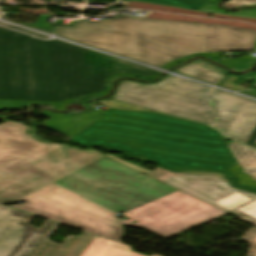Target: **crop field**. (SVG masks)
<instances>
[{
  "label": "crop field",
  "mask_w": 256,
  "mask_h": 256,
  "mask_svg": "<svg viewBox=\"0 0 256 256\" xmlns=\"http://www.w3.org/2000/svg\"><path fill=\"white\" fill-rule=\"evenodd\" d=\"M240 93H244V94H248V95L256 97V91H247V92H240Z\"/></svg>",
  "instance_id": "730fd06b"
},
{
  "label": "crop field",
  "mask_w": 256,
  "mask_h": 256,
  "mask_svg": "<svg viewBox=\"0 0 256 256\" xmlns=\"http://www.w3.org/2000/svg\"><path fill=\"white\" fill-rule=\"evenodd\" d=\"M240 239L251 245L247 256H256V228L252 227Z\"/></svg>",
  "instance_id": "bc2a9ffb"
},
{
  "label": "crop field",
  "mask_w": 256,
  "mask_h": 256,
  "mask_svg": "<svg viewBox=\"0 0 256 256\" xmlns=\"http://www.w3.org/2000/svg\"><path fill=\"white\" fill-rule=\"evenodd\" d=\"M26 129L10 121L0 124V158L29 159L58 179L12 207L118 242L122 225L168 238L226 214L92 150L39 143ZM117 212L130 219L120 221Z\"/></svg>",
  "instance_id": "8a807250"
},
{
  "label": "crop field",
  "mask_w": 256,
  "mask_h": 256,
  "mask_svg": "<svg viewBox=\"0 0 256 256\" xmlns=\"http://www.w3.org/2000/svg\"><path fill=\"white\" fill-rule=\"evenodd\" d=\"M209 97L215 113L212 126L246 144L256 125V102L220 90Z\"/></svg>",
  "instance_id": "5a996713"
},
{
  "label": "crop field",
  "mask_w": 256,
  "mask_h": 256,
  "mask_svg": "<svg viewBox=\"0 0 256 256\" xmlns=\"http://www.w3.org/2000/svg\"><path fill=\"white\" fill-rule=\"evenodd\" d=\"M202 12L216 13V14H224V15H232V16H240V17H248L256 19V8L253 9H242L237 13H227L224 10L219 9L214 4L201 10Z\"/></svg>",
  "instance_id": "4a817a6b"
},
{
  "label": "crop field",
  "mask_w": 256,
  "mask_h": 256,
  "mask_svg": "<svg viewBox=\"0 0 256 256\" xmlns=\"http://www.w3.org/2000/svg\"><path fill=\"white\" fill-rule=\"evenodd\" d=\"M243 170L256 181V151L232 142L228 145Z\"/></svg>",
  "instance_id": "cbeb9de0"
},
{
  "label": "crop field",
  "mask_w": 256,
  "mask_h": 256,
  "mask_svg": "<svg viewBox=\"0 0 256 256\" xmlns=\"http://www.w3.org/2000/svg\"><path fill=\"white\" fill-rule=\"evenodd\" d=\"M160 75H161V73H159V72L154 77H151V78L135 76V75H131V74H117V75H113V76H110V77L107 78V85H106V89H105L104 92L98 93V94H92V95L83 96L81 98L73 99V100H66V101H59V102H37V101L4 100V99H0V110H2V109H17V108H21V107H29L28 105H25V104L26 103H30V104H37V105H41V106H52L56 110L63 111V110H65V106L68 103L75 102L77 100H82L84 97H88V96H100V95L106 94L111 89V80L113 78L117 77V76H133V77H137V78H141V79H145V80H151V79L157 78Z\"/></svg>",
  "instance_id": "d1516ede"
},
{
  "label": "crop field",
  "mask_w": 256,
  "mask_h": 256,
  "mask_svg": "<svg viewBox=\"0 0 256 256\" xmlns=\"http://www.w3.org/2000/svg\"><path fill=\"white\" fill-rule=\"evenodd\" d=\"M98 104L103 105V106L114 107V108H122V109L148 110V109H144V108L130 105L127 103H123L120 101H116V100H110V101L102 100V101L98 102Z\"/></svg>",
  "instance_id": "214f88e0"
},
{
  "label": "crop field",
  "mask_w": 256,
  "mask_h": 256,
  "mask_svg": "<svg viewBox=\"0 0 256 256\" xmlns=\"http://www.w3.org/2000/svg\"><path fill=\"white\" fill-rule=\"evenodd\" d=\"M17 115H9V116H0V118H9V117H15Z\"/></svg>",
  "instance_id": "750c4746"
},
{
  "label": "crop field",
  "mask_w": 256,
  "mask_h": 256,
  "mask_svg": "<svg viewBox=\"0 0 256 256\" xmlns=\"http://www.w3.org/2000/svg\"><path fill=\"white\" fill-rule=\"evenodd\" d=\"M237 79H238V77L232 76L226 82H224L222 85H220V87L230 89V90H233V91L245 90L244 88H241L239 86H236V85L232 84Z\"/></svg>",
  "instance_id": "a9b5d70f"
},
{
  "label": "crop field",
  "mask_w": 256,
  "mask_h": 256,
  "mask_svg": "<svg viewBox=\"0 0 256 256\" xmlns=\"http://www.w3.org/2000/svg\"><path fill=\"white\" fill-rule=\"evenodd\" d=\"M34 215L0 205V256H28L53 221L29 225Z\"/></svg>",
  "instance_id": "e52e79f7"
},
{
  "label": "crop field",
  "mask_w": 256,
  "mask_h": 256,
  "mask_svg": "<svg viewBox=\"0 0 256 256\" xmlns=\"http://www.w3.org/2000/svg\"><path fill=\"white\" fill-rule=\"evenodd\" d=\"M116 73L157 72L57 40L0 28V98L58 101L102 92Z\"/></svg>",
  "instance_id": "ac0d7876"
},
{
  "label": "crop field",
  "mask_w": 256,
  "mask_h": 256,
  "mask_svg": "<svg viewBox=\"0 0 256 256\" xmlns=\"http://www.w3.org/2000/svg\"><path fill=\"white\" fill-rule=\"evenodd\" d=\"M176 71L215 85H217L226 75L221 69L201 61H195Z\"/></svg>",
  "instance_id": "22f410ed"
},
{
  "label": "crop field",
  "mask_w": 256,
  "mask_h": 256,
  "mask_svg": "<svg viewBox=\"0 0 256 256\" xmlns=\"http://www.w3.org/2000/svg\"><path fill=\"white\" fill-rule=\"evenodd\" d=\"M197 55H205V56H208V58H210L211 60H212L213 58H216V61H218V60H219L220 53H200V54L189 55V56H186V57H184V58L175 60V61H173V62H171V63H169V64H167V65H165V66H163V67H161V68L167 70L170 66H172V65H174V64H176V63H178V62L186 61V60H188L189 58H191V57H193V56H197ZM216 61H214V62H216ZM170 68H171V67H170Z\"/></svg>",
  "instance_id": "92a150f3"
},
{
  "label": "crop field",
  "mask_w": 256,
  "mask_h": 256,
  "mask_svg": "<svg viewBox=\"0 0 256 256\" xmlns=\"http://www.w3.org/2000/svg\"><path fill=\"white\" fill-rule=\"evenodd\" d=\"M222 65L228 66L236 72L249 70L256 63V59L252 58L250 54L238 57L235 59L219 62ZM241 68H244L243 70Z\"/></svg>",
  "instance_id": "733c2abd"
},
{
  "label": "crop field",
  "mask_w": 256,
  "mask_h": 256,
  "mask_svg": "<svg viewBox=\"0 0 256 256\" xmlns=\"http://www.w3.org/2000/svg\"><path fill=\"white\" fill-rule=\"evenodd\" d=\"M228 173L238 185L256 191V182L238 164L232 167Z\"/></svg>",
  "instance_id": "d9b57169"
},
{
  "label": "crop field",
  "mask_w": 256,
  "mask_h": 256,
  "mask_svg": "<svg viewBox=\"0 0 256 256\" xmlns=\"http://www.w3.org/2000/svg\"><path fill=\"white\" fill-rule=\"evenodd\" d=\"M209 87L175 77L156 85L122 81L114 98L157 112L212 124Z\"/></svg>",
  "instance_id": "f4fd0767"
},
{
  "label": "crop field",
  "mask_w": 256,
  "mask_h": 256,
  "mask_svg": "<svg viewBox=\"0 0 256 256\" xmlns=\"http://www.w3.org/2000/svg\"><path fill=\"white\" fill-rule=\"evenodd\" d=\"M256 47V46H255Z\"/></svg>",
  "instance_id": "bd1437ed"
},
{
  "label": "crop field",
  "mask_w": 256,
  "mask_h": 256,
  "mask_svg": "<svg viewBox=\"0 0 256 256\" xmlns=\"http://www.w3.org/2000/svg\"><path fill=\"white\" fill-rule=\"evenodd\" d=\"M56 34L151 65L199 52L251 51L256 31L206 24L117 17L55 26Z\"/></svg>",
  "instance_id": "412701ff"
},
{
  "label": "crop field",
  "mask_w": 256,
  "mask_h": 256,
  "mask_svg": "<svg viewBox=\"0 0 256 256\" xmlns=\"http://www.w3.org/2000/svg\"><path fill=\"white\" fill-rule=\"evenodd\" d=\"M47 17H49V16H40L38 22L36 21L37 23H34V24H23V25L41 28V29H45V30L51 32V23L45 22Z\"/></svg>",
  "instance_id": "00972430"
},
{
  "label": "crop field",
  "mask_w": 256,
  "mask_h": 256,
  "mask_svg": "<svg viewBox=\"0 0 256 256\" xmlns=\"http://www.w3.org/2000/svg\"><path fill=\"white\" fill-rule=\"evenodd\" d=\"M102 114L104 113L100 111H95L86 114L64 116L61 114L46 111L41 115L46 116L50 119L41 123L40 125L71 139L73 136H75L78 132H80L83 128H85L88 124H90Z\"/></svg>",
  "instance_id": "28ad6ade"
},
{
  "label": "crop field",
  "mask_w": 256,
  "mask_h": 256,
  "mask_svg": "<svg viewBox=\"0 0 256 256\" xmlns=\"http://www.w3.org/2000/svg\"><path fill=\"white\" fill-rule=\"evenodd\" d=\"M72 140L123 152L170 170H226L235 161L221 134L204 124L147 111L110 109Z\"/></svg>",
  "instance_id": "34b2d1b8"
},
{
  "label": "crop field",
  "mask_w": 256,
  "mask_h": 256,
  "mask_svg": "<svg viewBox=\"0 0 256 256\" xmlns=\"http://www.w3.org/2000/svg\"><path fill=\"white\" fill-rule=\"evenodd\" d=\"M245 5H256V0H230L223 4L224 8H233Z\"/></svg>",
  "instance_id": "dafd665d"
},
{
  "label": "crop field",
  "mask_w": 256,
  "mask_h": 256,
  "mask_svg": "<svg viewBox=\"0 0 256 256\" xmlns=\"http://www.w3.org/2000/svg\"><path fill=\"white\" fill-rule=\"evenodd\" d=\"M59 225L54 223L29 256H145L132 252L129 246L86 232L82 236H67L62 244L48 241Z\"/></svg>",
  "instance_id": "d8731c3e"
},
{
  "label": "crop field",
  "mask_w": 256,
  "mask_h": 256,
  "mask_svg": "<svg viewBox=\"0 0 256 256\" xmlns=\"http://www.w3.org/2000/svg\"><path fill=\"white\" fill-rule=\"evenodd\" d=\"M216 1H218V0H211V1H209L208 3H206V4L203 6V8H205V7H207V6L211 5V4H213V3L216 2ZM203 8H202V9H203ZM199 10H201V9H198V10H196V11H199Z\"/></svg>",
  "instance_id": "eef30255"
},
{
  "label": "crop field",
  "mask_w": 256,
  "mask_h": 256,
  "mask_svg": "<svg viewBox=\"0 0 256 256\" xmlns=\"http://www.w3.org/2000/svg\"><path fill=\"white\" fill-rule=\"evenodd\" d=\"M229 77H231V75H228L226 78H224L217 86H219L220 84H222L225 80H227Z\"/></svg>",
  "instance_id": "ae1a2a85"
},
{
  "label": "crop field",
  "mask_w": 256,
  "mask_h": 256,
  "mask_svg": "<svg viewBox=\"0 0 256 256\" xmlns=\"http://www.w3.org/2000/svg\"><path fill=\"white\" fill-rule=\"evenodd\" d=\"M106 156L143 172L226 213L236 211L253 220L256 225V195L232 189L219 172H182L174 174L158 168L149 172L143 168L120 160L112 155Z\"/></svg>",
  "instance_id": "dd49c442"
},
{
  "label": "crop field",
  "mask_w": 256,
  "mask_h": 256,
  "mask_svg": "<svg viewBox=\"0 0 256 256\" xmlns=\"http://www.w3.org/2000/svg\"><path fill=\"white\" fill-rule=\"evenodd\" d=\"M216 91H217V89L211 90V91L209 92V95H214V94L216 93Z\"/></svg>",
  "instance_id": "d3111659"
},
{
  "label": "crop field",
  "mask_w": 256,
  "mask_h": 256,
  "mask_svg": "<svg viewBox=\"0 0 256 256\" xmlns=\"http://www.w3.org/2000/svg\"><path fill=\"white\" fill-rule=\"evenodd\" d=\"M247 145L256 148V127H255L254 131L252 132V134L247 142Z\"/></svg>",
  "instance_id": "4177f3b9"
},
{
  "label": "crop field",
  "mask_w": 256,
  "mask_h": 256,
  "mask_svg": "<svg viewBox=\"0 0 256 256\" xmlns=\"http://www.w3.org/2000/svg\"><path fill=\"white\" fill-rule=\"evenodd\" d=\"M32 162L13 156L0 159V203H11L55 180Z\"/></svg>",
  "instance_id": "3316defc"
},
{
  "label": "crop field",
  "mask_w": 256,
  "mask_h": 256,
  "mask_svg": "<svg viewBox=\"0 0 256 256\" xmlns=\"http://www.w3.org/2000/svg\"><path fill=\"white\" fill-rule=\"evenodd\" d=\"M136 1L164 4V5L196 10L198 8H201L209 0H136Z\"/></svg>",
  "instance_id": "5142ce71"
}]
</instances>
